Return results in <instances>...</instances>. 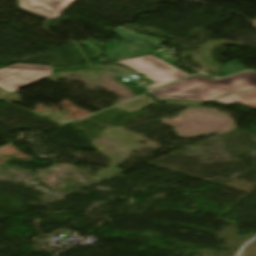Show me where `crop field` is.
Here are the masks:
<instances>
[{
    "mask_svg": "<svg viewBox=\"0 0 256 256\" xmlns=\"http://www.w3.org/2000/svg\"><path fill=\"white\" fill-rule=\"evenodd\" d=\"M213 102L225 105H229L231 103H238L250 109L256 110V90L232 94L228 97Z\"/></svg>",
    "mask_w": 256,
    "mask_h": 256,
    "instance_id": "crop-field-6",
    "label": "crop field"
},
{
    "mask_svg": "<svg viewBox=\"0 0 256 256\" xmlns=\"http://www.w3.org/2000/svg\"><path fill=\"white\" fill-rule=\"evenodd\" d=\"M125 58L141 56L150 53V47L136 44V43H124L122 44ZM113 52H115V60H118V56L120 59H124L121 51L120 44H114V50L109 49V59L113 60Z\"/></svg>",
    "mask_w": 256,
    "mask_h": 256,
    "instance_id": "crop-field-5",
    "label": "crop field"
},
{
    "mask_svg": "<svg viewBox=\"0 0 256 256\" xmlns=\"http://www.w3.org/2000/svg\"><path fill=\"white\" fill-rule=\"evenodd\" d=\"M21 9L48 19L59 17L75 0H18Z\"/></svg>",
    "mask_w": 256,
    "mask_h": 256,
    "instance_id": "crop-field-4",
    "label": "crop field"
},
{
    "mask_svg": "<svg viewBox=\"0 0 256 256\" xmlns=\"http://www.w3.org/2000/svg\"><path fill=\"white\" fill-rule=\"evenodd\" d=\"M51 66L15 64L0 69V87L14 92L51 76Z\"/></svg>",
    "mask_w": 256,
    "mask_h": 256,
    "instance_id": "crop-field-3",
    "label": "crop field"
},
{
    "mask_svg": "<svg viewBox=\"0 0 256 256\" xmlns=\"http://www.w3.org/2000/svg\"><path fill=\"white\" fill-rule=\"evenodd\" d=\"M224 68L222 71H220L224 76L245 70L244 67H242L237 61H231L229 63H226L222 65Z\"/></svg>",
    "mask_w": 256,
    "mask_h": 256,
    "instance_id": "crop-field-8",
    "label": "crop field"
},
{
    "mask_svg": "<svg viewBox=\"0 0 256 256\" xmlns=\"http://www.w3.org/2000/svg\"><path fill=\"white\" fill-rule=\"evenodd\" d=\"M114 32L117 33L120 37H122L126 41L137 42V43H141L149 46H151L150 45L151 43H153V46H158L162 44L164 41H166L165 39L140 35L132 30H129L123 27H120L114 30ZM145 42H148L149 44H146Z\"/></svg>",
    "mask_w": 256,
    "mask_h": 256,
    "instance_id": "crop-field-7",
    "label": "crop field"
},
{
    "mask_svg": "<svg viewBox=\"0 0 256 256\" xmlns=\"http://www.w3.org/2000/svg\"><path fill=\"white\" fill-rule=\"evenodd\" d=\"M251 88H256V74L246 72L215 81L194 76L154 90L150 94L156 98L210 102L227 94Z\"/></svg>",
    "mask_w": 256,
    "mask_h": 256,
    "instance_id": "crop-field-1",
    "label": "crop field"
},
{
    "mask_svg": "<svg viewBox=\"0 0 256 256\" xmlns=\"http://www.w3.org/2000/svg\"><path fill=\"white\" fill-rule=\"evenodd\" d=\"M112 63L126 66L155 81L156 83L146 86V88L149 89H154L158 86L189 75L153 57L152 55L135 57Z\"/></svg>",
    "mask_w": 256,
    "mask_h": 256,
    "instance_id": "crop-field-2",
    "label": "crop field"
}]
</instances>
